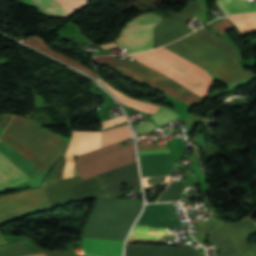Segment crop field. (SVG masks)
Listing matches in <instances>:
<instances>
[{"label": "crop field", "instance_id": "obj_1", "mask_svg": "<svg viewBox=\"0 0 256 256\" xmlns=\"http://www.w3.org/2000/svg\"><path fill=\"white\" fill-rule=\"evenodd\" d=\"M152 53L162 57L163 59L173 63L174 65L190 72L197 78L211 86L213 78L204 69L192 64L181 56L165 49L164 47L151 50ZM147 51L141 54L130 55L137 61L167 75L185 88L191 90L197 95L204 97L209 87L190 73L174 66L173 64L163 60L162 58ZM136 60L115 61V56L95 57L92 62H102L113 66L114 68L127 73L133 78L150 84L165 93L194 106L201 102L203 98L197 96L191 91L185 89L167 76L146 67Z\"/></svg>", "mask_w": 256, "mask_h": 256}, {"label": "crop field", "instance_id": "obj_2", "mask_svg": "<svg viewBox=\"0 0 256 256\" xmlns=\"http://www.w3.org/2000/svg\"><path fill=\"white\" fill-rule=\"evenodd\" d=\"M0 139L16 148L41 171L59 160L68 145L43 128L16 117ZM2 140H0V153L10 159L19 169L30 178L41 172L22 154Z\"/></svg>", "mask_w": 256, "mask_h": 256}, {"label": "crop field", "instance_id": "obj_3", "mask_svg": "<svg viewBox=\"0 0 256 256\" xmlns=\"http://www.w3.org/2000/svg\"><path fill=\"white\" fill-rule=\"evenodd\" d=\"M210 31L200 29L165 47L229 84L251 77L237 63L239 51L221 35Z\"/></svg>", "mask_w": 256, "mask_h": 256}, {"label": "crop field", "instance_id": "obj_4", "mask_svg": "<svg viewBox=\"0 0 256 256\" xmlns=\"http://www.w3.org/2000/svg\"><path fill=\"white\" fill-rule=\"evenodd\" d=\"M64 162L65 158L59 160L43 182L50 207L107 194L96 176L84 181L79 176L62 180Z\"/></svg>", "mask_w": 256, "mask_h": 256}, {"label": "crop field", "instance_id": "obj_5", "mask_svg": "<svg viewBox=\"0 0 256 256\" xmlns=\"http://www.w3.org/2000/svg\"><path fill=\"white\" fill-rule=\"evenodd\" d=\"M136 161L133 143L120 142L77 156L76 168L82 180Z\"/></svg>", "mask_w": 256, "mask_h": 256}, {"label": "crop field", "instance_id": "obj_6", "mask_svg": "<svg viewBox=\"0 0 256 256\" xmlns=\"http://www.w3.org/2000/svg\"><path fill=\"white\" fill-rule=\"evenodd\" d=\"M49 208L42 186L17 194L0 196V224L20 216ZM1 243L6 242L0 233Z\"/></svg>", "mask_w": 256, "mask_h": 256}, {"label": "crop field", "instance_id": "obj_7", "mask_svg": "<svg viewBox=\"0 0 256 256\" xmlns=\"http://www.w3.org/2000/svg\"><path fill=\"white\" fill-rule=\"evenodd\" d=\"M162 18L155 14H146L134 18L121 30L117 41L127 48V53H136L153 48V27Z\"/></svg>", "mask_w": 256, "mask_h": 256}, {"label": "crop field", "instance_id": "obj_8", "mask_svg": "<svg viewBox=\"0 0 256 256\" xmlns=\"http://www.w3.org/2000/svg\"><path fill=\"white\" fill-rule=\"evenodd\" d=\"M201 10L197 0L191 2L185 10L180 13L172 12L154 28V46H161L184 36L192 30L186 27V20Z\"/></svg>", "mask_w": 256, "mask_h": 256}, {"label": "crop field", "instance_id": "obj_9", "mask_svg": "<svg viewBox=\"0 0 256 256\" xmlns=\"http://www.w3.org/2000/svg\"><path fill=\"white\" fill-rule=\"evenodd\" d=\"M97 178L110 197H118L121 194L122 182L134 187L135 191L141 190L136 162L98 175Z\"/></svg>", "mask_w": 256, "mask_h": 256}, {"label": "crop field", "instance_id": "obj_10", "mask_svg": "<svg viewBox=\"0 0 256 256\" xmlns=\"http://www.w3.org/2000/svg\"><path fill=\"white\" fill-rule=\"evenodd\" d=\"M101 132H73L67 153L64 178L72 177L74 156L100 148Z\"/></svg>", "mask_w": 256, "mask_h": 256}, {"label": "crop field", "instance_id": "obj_11", "mask_svg": "<svg viewBox=\"0 0 256 256\" xmlns=\"http://www.w3.org/2000/svg\"><path fill=\"white\" fill-rule=\"evenodd\" d=\"M218 2L228 14L256 11V7L245 0H218ZM229 18L237 25L240 32L256 30V12L232 14Z\"/></svg>", "mask_w": 256, "mask_h": 256}, {"label": "crop field", "instance_id": "obj_12", "mask_svg": "<svg viewBox=\"0 0 256 256\" xmlns=\"http://www.w3.org/2000/svg\"><path fill=\"white\" fill-rule=\"evenodd\" d=\"M137 225L180 228V221L170 203L147 205Z\"/></svg>", "mask_w": 256, "mask_h": 256}, {"label": "crop field", "instance_id": "obj_13", "mask_svg": "<svg viewBox=\"0 0 256 256\" xmlns=\"http://www.w3.org/2000/svg\"><path fill=\"white\" fill-rule=\"evenodd\" d=\"M143 177L170 175L174 166L170 153L140 155Z\"/></svg>", "mask_w": 256, "mask_h": 256}, {"label": "crop field", "instance_id": "obj_14", "mask_svg": "<svg viewBox=\"0 0 256 256\" xmlns=\"http://www.w3.org/2000/svg\"><path fill=\"white\" fill-rule=\"evenodd\" d=\"M126 256H203L201 252L180 247H138L127 245Z\"/></svg>", "mask_w": 256, "mask_h": 256}, {"label": "crop field", "instance_id": "obj_15", "mask_svg": "<svg viewBox=\"0 0 256 256\" xmlns=\"http://www.w3.org/2000/svg\"><path fill=\"white\" fill-rule=\"evenodd\" d=\"M223 228L227 231L240 254L253 252L251 245L247 242V235L256 233V227L250 220ZM236 256H246V254Z\"/></svg>", "mask_w": 256, "mask_h": 256}, {"label": "crop field", "instance_id": "obj_16", "mask_svg": "<svg viewBox=\"0 0 256 256\" xmlns=\"http://www.w3.org/2000/svg\"><path fill=\"white\" fill-rule=\"evenodd\" d=\"M37 6L45 11L50 16H68L72 14L77 8L83 5L88 0H32Z\"/></svg>", "mask_w": 256, "mask_h": 256}, {"label": "crop field", "instance_id": "obj_17", "mask_svg": "<svg viewBox=\"0 0 256 256\" xmlns=\"http://www.w3.org/2000/svg\"><path fill=\"white\" fill-rule=\"evenodd\" d=\"M84 240V253L99 256H121L122 244L119 241L88 239Z\"/></svg>", "mask_w": 256, "mask_h": 256}, {"label": "crop field", "instance_id": "obj_18", "mask_svg": "<svg viewBox=\"0 0 256 256\" xmlns=\"http://www.w3.org/2000/svg\"><path fill=\"white\" fill-rule=\"evenodd\" d=\"M27 179V175L0 154V191L10 189Z\"/></svg>", "mask_w": 256, "mask_h": 256}, {"label": "crop field", "instance_id": "obj_19", "mask_svg": "<svg viewBox=\"0 0 256 256\" xmlns=\"http://www.w3.org/2000/svg\"><path fill=\"white\" fill-rule=\"evenodd\" d=\"M41 251L27 239L0 245V256H25Z\"/></svg>", "mask_w": 256, "mask_h": 256}, {"label": "crop field", "instance_id": "obj_20", "mask_svg": "<svg viewBox=\"0 0 256 256\" xmlns=\"http://www.w3.org/2000/svg\"><path fill=\"white\" fill-rule=\"evenodd\" d=\"M24 43H26V44H28L30 46H33V47H35V48H37V49H39V50H41V51H43L45 53H47V54L57 58V59H59V60L65 62V63L69 64V65H72V66H74L76 68H79V69H81V70H83V71H85V72H87V73H89V74H91L92 76L95 77L94 72L89 70V69H87L82 64H80V63H78V62H76V61H74L72 59H69V58H67V57H65V56H63V55H61V54H59V53H57V52H55L53 50H51L44 43V41L41 38H39L38 36H31V37L25 39Z\"/></svg>", "mask_w": 256, "mask_h": 256}, {"label": "crop field", "instance_id": "obj_21", "mask_svg": "<svg viewBox=\"0 0 256 256\" xmlns=\"http://www.w3.org/2000/svg\"><path fill=\"white\" fill-rule=\"evenodd\" d=\"M97 80L101 81L102 84L105 85L118 98V100L125 105L137 108L139 110L148 112L150 114H154L157 110L160 109V106H156L153 104L135 100V99L129 98V97L121 94L120 92H118V91L114 90L112 87H110L107 83H105L99 77L97 78Z\"/></svg>", "mask_w": 256, "mask_h": 256}, {"label": "crop field", "instance_id": "obj_22", "mask_svg": "<svg viewBox=\"0 0 256 256\" xmlns=\"http://www.w3.org/2000/svg\"><path fill=\"white\" fill-rule=\"evenodd\" d=\"M209 236L215 243L220 246L223 256L238 254L236 248L222 227L211 233Z\"/></svg>", "mask_w": 256, "mask_h": 256}, {"label": "crop field", "instance_id": "obj_23", "mask_svg": "<svg viewBox=\"0 0 256 256\" xmlns=\"http://www.w3.org/2000/svg\"><path fill=\"white\" fill-rule=\"evenodd\" d=\"M131 134L128 129V125L113 128L102 132V142L101 146H106L118 141H122L131 138Z\"/></svg>", "mask_w": 256, "mask_h": 256}, {"label": "crop field", "instance_id": "obj_24", "mask_svg": "<svg viewBox=\"0 0 256 256\" xmlns=\"http://www.w3.org/2000/svg\"><path fill=\"white\" fill-rule=\"evenodd\" d=\"M166 233V228H147L137 226L134 228L130 238L159 239Z\"/></svg>", "mask_w": 256, "mask_h": 256}, {"label": "crop field", "instance_id": "obj_25", "mask_svg": "<svg viewBox=\"0 0 256 256\" xmlns=\"http://www.w3.org/2000/svg\"><path fill=\"white\" fill-rule=\"evenodd\" d=\"M183 183L173 181L163 195L159 198L158 202L161 201H171V200H180L181 189Z\"/></svg>", "mask_w": 256, "mask_h": 256}, {"label": "crop field", "instance_id": "obj_26", "mask_svg": "<svg viewBox=\"0 0 256 256\" xmlns=\"http://www.w3.org/2000/svg\"><path fill=\"white\" fill-rule=\"evenodd\" d=\"M154 122H156L160 127L165 124L179 118L178 115L171 110H167L162 107L160 111H158L155 115L150 117Z\"/></svg>", "mask_w": 256, "mask_h": 256}, {"label": "crop field", "instance_id": "obj_27", "mask_svg": "<svg viewBox=\"0 0 256 256\" xmlns=\"http://www.w3.org/2000/svg\"><path fill=\"white\" fill-rule=\"evenodd\" d=\"M218 227H220V225L215 218L204 221V222H200L199 228H200L201 237L203 238V236L211 233L212 231L216 230Z\"/></svg>", "mask_w": 256, "mask_h": 256}, {"label": "crop field", "instance_id": "obj_28", "mask_svg": "<svg viewBox=\"0 0 256 256\" xmlns=\"http://www.w3.org/2000/svg\"><path fill=\"white\" fill-rule=\"evenodd\" d=\"M170 176H162L155 178H143L145 187L166 184L169 181Z\"/></svg>", "mask_w": 256, "mask_h": 256}, {"label": "crop field", "instance_id": "obj_29", "mask_svg": "<svg viewBox=\"0 0 256 256\" xmlns=\"http://www.w3.org/2000/svg\"><path fill=\"white\" fill-rule=\"evenodd\" d=\"M212 27H214L216 30H218L222 34L229 30L234 29L233 25L227 19L221 20L220 22H218Z\"/></svg>", "mask_w": 256, "mask_h": 256}, {"label": "crop field", "instance_id": "obj_30", "mask_svg": "<svg viewBox=\"0 0 256 256\" xmlns=\"http://www.w3.org/2000/svg\"><path fill=\"white\" fill-rule=\"evenodd\" d=\"M136 127H137V129H138V131H139L140 134L150 132V131H152V130H154V129L157 128V127H156L153 123H151L150 121H147V122H145V123L139 124V125H137Z\"/></svg>", "mask_w": 256, "mask_h": 256}, {"label": "crop field", "instance_id": "obj_31", "mask_svg": "<svg viewBox=\"0 0 256 256\" xmlns=\"http://www.w3.org/2000/svg\"><path fill=\"white\" fill-rule=\"evenodd\" d=\"M48 256H74L70 249L63 250H42Z\"/></svg>", "mask_w": 256, "mask_h": 256}, {"label": "crop field", "instance_id": "obj_32", "mask_svg": "<svg viewBox=\"0 0 256 256\" xmlns=\"http://www.w3.org/2000/svg\"><path fill=\"white\" fill-rule=\"evenodd\" d=\"M122 122H126L124 116H121L115 119L106 120L102 122V129L117 125Z\"/></svg>", "mask_w": 256, "mask_h": 256}, {"label": "crop field", "instance_id": "obj_33", "mask_svg": "<svg viewBox=\"0 0 256 256\" xmlns=\"http://www.w3.org/2000/svg\"><path fill=\"white\" fill-rule=\"evenodd\" d=\"M139 150L167 148L166 145L154 146L152 142L138 143Z\"/></svg>", "mask_w": 256, "mask_h": 256}, {"label": "crop field", "instance_id": "obj_34", "mask_svg": "<svg viewBox=\"0 0 256 256\" xmlns=\"http://www.w3.org/2000/svg\"><path fill=\"white\" fill-rule=\"evenodd\" d=\"M12 116H9V115H3L0 119V127L2 129H5L6 126L8 125L9 121L11 120ZM0 129V135L2 134V132L4 130Z\"/></svg>", "mask_w": 256, "mask_h": 256}, {"label": "crop field", "instance_id": "obj_35", "mask_svg": "<svg viewBox=\"0 0 256 256\" xmlns=\"http://www.w3.org/2000/svg\"><path fill=\"white\" fill-rule=\"evenodd\" d=\"M166 152H169L168 149L139 151L140 154H147V153H166Z\"/></svg>", "mask_w": 256, "mask_h": 256}, {"label": "crop field", "instance_id": "obj_36", "mask_svg": "<svg viewBox=\"0 0 256 256\" xmlns=\"http://www.w3.org/2000/svg\"><path fill=\"white\" fill-rule=\"evenodd\" d=\"M114 46H116V43H114V42L101 45V47H103L105 49L111 48V47H114Z\"/></svg>", "mask_w": 256, "mask_h": 256}, {"label": "crop field", "instance_id": "obj_37", "mask_svg": "<svg viewBox=\"0 0 256 256\" xmlns=\"http://www.w3.org/2000/svg\"><path fill=\"white\" fill-rule=\"evenodd\" d=\"M30 256H46L44 253L36 254V255H30Z\"/></svg>", "mask_w": 256, "mask_h": 256}]
</instances>
